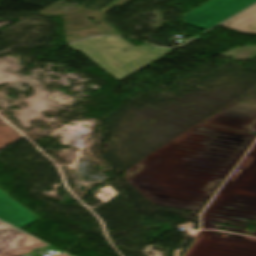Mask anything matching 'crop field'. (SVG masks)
<instances>
[{"label":"crop field","instance_id":"4","mask_svg":"<svg viewBox=\"0 0 256 256\" xmlns=\"http://www.w3.org/2000/svg\"><path fill=\"white\" fill-rule=\"evenodd\" d=\"M0 219L18 228L39 220L32 212L0 190Z\"/></svg>","mask_w":256,"mask_h":256},{"label":"crop field","instance_id":"8","mask_svg":"<svg viewBox=\"0 0 256 256\" xmlns=\"http://www.w3.org/2000/svg\"><path fill=\"white\" fill-rule=\"evenodd\" d=\"M29 252H30V251H29ZM29 252H24V253H21V254L23 255V254H27V253H29Z\"/></svg>","mask_w":256,"mask_h":256},{"label":"crop field","instance_id":"6","mask_svg":"<svg viewBox=\"0 0 256 256\" xmlns=\"http://www.w3.org/2000/svg\"><path fill=\"white\" fill-rule=\"evenodd\" d=\"M138 47H141V48H144V49H147V50H150V51L162 54L164 56L167 55L172 50H174V49H161V48H156L155 49V48H151V46H148V45H142V46H138Z\"/></svg>","mask_w":256,"mask_h":256},{"label":"crop field","instance_id":"7","mask_svg":"<svg viewBox=\"0 0 256 256\" xmlns=\"http://www.w3.org/2000/svg\"><path fill=\"white\" fill-rule=\"evenodd\" d=\"M52 256H68L66 254L52 255Z\"/></svg>","mask_w":256,"mask_h":256},{"label":"crop field","instance_id":"5","mask_svg":"<svg viewBox=\"0 0 256 256\" xmlns=\"http://www.w3.org/2000/svg\"><path fill=\"white\" fill-rule=\"evenodd\" d=\"M220 26L241 31L243 33L256 34V5Z\"/></svg>","mask_w":256,"mask_h":256},{"label":"crop field","instance_id":"2","mask_svg":"<svg viewBox=\"0 0 256 256\" xmlns=\"http://www.w3.org/2000/svg\"><path fill=\"white\" fill-rule=\"evenodd\" d=\"M256 0H210L183 16L186 25L207 30L238 13Z\"/></svg>","mask_w":256,"mask_h":256},{"label":"crop field","instance_id":"3","mask_svg":"<svg viewBox=\"0 0 256 256\" xmlns=\"http://www.w3.org/2000/svg\"><path fill=\"white\" fill-rule=\"evenodd\" d=\"M47 246L0 222V256H19L20 252Z\"/></svg>","mask_w":256,"mask_h":256},{"label":"crop field","instance_id":"1","mask_svg":"<svg viewBox=\"0 0 256 256\" xmlns=\"http://www.w3.org/2000/svg\"><path fill=\"white\" fill-rule=\"evenodd\" d=\"M68 47L83 53L119 81L164 57L113 37H96Z\"/></svg>","mask_w":256,"mask_h":256}]
</instances>
